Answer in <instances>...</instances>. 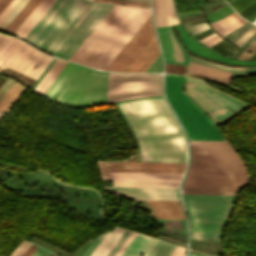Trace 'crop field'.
<instances>
[{"instance_id": "crop-field-26", "label": "crop field", "mask_w": 256, "mask_h": 256, "mask_svg": "<svg viewBox=\"0 0 256 256\" xmlns=\"http://www.w3.org/2000/svg\"><path fill=\"white\" fill-rule=\"evenodd\" d=\"M41 0H29L27 4L21 9L11 23L6 27L4 32L13 34L26 17L32 12Z\"/></svg>"}, {"instance_id": "crop-field-53", "label": "crop field", "mask_w": 256, "mask_h": 256, "mask_svg": "<svg viewBox=\"0 0 256 256\" xmlns=\"http://www.w3.org/2000/svg\"><path fill=\"white\" fill-rule=\"evenodd\" d=\"M37 246L32 245L23 256H30Z\"/></svg>"}, {"instance_id": "crop-field-20", "label": "crop field", "mask_w": 256, "mask_h": 256, "mask_svg": "<svg viewBox=\"0 0 256 256\" xmlns=\"http://www.w3.org/2000/svg\"><path fill=\"white\" fill-rule=\"evenodd\" d=\"M54 1L55 0H42L33 10V12L27 17V19L21 24V26L16 30L14 35L23 39Z\"/></svg>"}, {"instance_id": "crop-field-45", "label": "crop field", "mask_w": 256, "mask_h": 256, "mask_svg": "<svg viewBox=\"0 0 256 256\" xmlns=\"http://www.w3.org/2000/svg\"><path fill=\"white\" fill-rule=\"evenodd\" d=\"M256 8V1L254 2V3H252L250 6H248L247 8H245L243 11H241L240 13H238V14H240L242 17H244L245 15H247L249 12H251L253 9H255ZM256 10V9H255ZM255 10H253V11H255ZM252 11V12H253ZM251 12V13H252ZM251 13H249L247 16H249ZM247 16H245V18L247 17ZM244 18V19H245Z\"/></svg>"}, {"instance_id": "crop-field-15", "label": "crop field", "mask_w": 256, "mask_h": 256, "mask_svg": "<svg viewBox=\"0 0 256 256\" xmlns=\"http://www.w3.org/2000/svg\"><path fill=\"white\" fill-rule=\"evenodd\" d=\"M154 218L185 219L181 201L135 200Z\"/></svg>"}, {"instance_id": "crop-field-49", "label": "crop field", "mask_w": 256, "mask_h": 256, "mask_svg": "<svg viewBox=\"0 0 256 256\" xmlns=\"http://www.w3.org/2000/svg\"><path fill=\"white\" fill-rule=\"evenodd\" d=\"M185 248L177 246L170 256H184Z\"/></svg>"}, {"instance_id": "crop-field-40", "label": "crop field", "mask_w": 256, "mask_h": 256, "mask_svg": "<svg viewBox=\"0 0 256 256\" xmlns=\"http://www.w3.org/2000/svg\"><path fill=\"white\" fill-rule=\"evenodd\" d=\"M95 1L149 7V4H145V3L120 1V0H95Z\"/></svg>"}, {"instance_id": "crop-field-10", "label": "crop field", "mask_w": 256, "mask_h": 256, "mask_svg": "<svg viewBox=\"0 0 256 256\" xmlns=\"http://www.w3.org/2000/svg\"><path fill=\"white\" fill-rule=\"evenodd\" d=\"M51 59L23 43L7 66L38 78Z\"/></svg>"}, {"instance_id": "crop-field-38", "label": "crop field", "mask_w": 256, "mask_h": 256, "mask_svg": "<svg viewBox=\"0 0 256 256\" xmlns=\"http://www.w3.org/2000/svg\"><path fill=\"white\" fill-rule=\"evenodd\" d=\"M131 231L126 230L125 233L122 235V237L118 240V242L115 244V246L111 249V251L108 253L107 256H114V254L117 252V250L121 247V245L124 243V241L127 239V237L130 235Z\"/></svg>"}, {"instance_id": "crop-field-2", "label": "crop field", "mask_w": 256, "mask_h": 256, "mask_svg": "<svg viewBox=\"0 0 256 256\" xmlns=\"http://www.w3.org/2000/svg\"><path fill=\"white\" fill-rule=\"evenodd\" d=\"M113 6L65 0L30 43L69 60Z\"/></svg>"}, {"instance_id": "crop-field-7", "label": "crop field", "mask_w": 256, "mask_h": 256, "mask_svg": "<svg viewBox=\"0 0 256 256\" xmlns=\"http://www.w3.org/2000/svg\"><path fill=\"white\" fill-rule=\"evenodd\" d=\"M191 231L221 232L233 210L235 195H183Z\"/></svg>"}, {"instance_id": "crop-field-18", "label": "crop field", "mask_w": 256, "mask_h": 256, "mask_svg": "<svg viewBox=\"0 0 256 256\" xmlns=\"http://www.w3.org/2000/svg\"><path fill=\"white\" fill-rule=\"evenodd\" d=\"M102 180L179 182L182 175L100 173Z\"/></svg>"}, {"instance_id": "crop-field-6", "label": "crop field", "mask_w": 256, "mask_h": 256, "mask_svg": "<svg viewBox=\"0 0 256 256\" xmlns=\"http://www.w3.org/2000/svg\"><path fill=\"white\" fill-rule=\"evenodd\" d=\"M185 76L167 74L165 93L189 140H226L205 113L182 91Z\"/></svg>"}, {"instance_id": "crop-field-12", "label": "crop field", "mask_w": 256, "mask_h": 256, "mask_svg": "<svg viewBox=\"0 0 256 256\" xmlns=\"http://www.w3.org/2000/svg\"><path fill=\"white\" fill-rule=\"evenodd\" d=\"M104 191L127 199L180 200L178 188L112 187L103 186Z\"/></svg>"}, {"instance_id": "crop-field-29", "label": "crop field", "mask_w": 256, "mask_h": 256, "mask_svg": "<svg viewBox=\"0 0 256 256\" xmlns=\"http://www.w3.org/2000/svg\"><path fill=\"white\" fill-rule=\"evenodd\" d=\"M239 189L183 188V194H236Z\"/></svg>"}, {"instance_id": "crop-field-48", "label": "crop field", "mask_w": 256, "mask_h": 256, "mask_svg": "<svg viewBox=\"0 0 256 256\" xmlns=\"http://www.w3.org/2000/svg\"><path fill=\"white\" fill-rule=\"evenodd\" d=\"M104 236V233L100 234L98 238L95 240V242L92 244V246L89 248V250L86 252L84 256H89L90 253L93 251V249L96 247L98 242L101 240V238Z\"/></svg>"}, {"instance_id": "crop-field-24", "label": "crop field", "mask_w": 256, "mask_h": 256, "mask_svg": "<svg viewBox=\"0 0 256 256\" xmlns=\"http://www.w3.org/2000/svg\"><path fill=\"white\" fill-rule=\"evenodd\" d=\"M66 61L56 59L37 86L34 88L33 92H36L40 95L46 90L48 86L53 82V80L57 77L63 67L66 65Z\"/></svg>"}, {"instance_id": "crop-field-34", "label": "crop field", "mask_w": 256, "mask_h": 256, "mask_svg": "<svg viewBox=\"0 0 256 256\" xmlns=\"http://www.w3.org/2000/svg\"><path fill=\"white\" fill-rule=\"evenodd\" d=\"M221 233L191 232V239L220 240Z\"/></svg>"}, {"instance_id": "crop-field-46", "label": "crop field", "mask_w": 256, "mask_h": 256, "mask_svg": "<svg viewBox=\"0 0 256 256\" xmlns=\"http://www.w3.org/2000/svg\"><path fill=\"white\" fill-rule=\"evenodd\" d=\"M135 234H136L135 232L131 233V235L128 237V239L125 241V243L122 245V247L118 250V252L115 254V256H120V254L123 252V250L129 244V242L132 240V238L135 236Z\"/></svg>"}, {"instance_id": "crop-field-21", "label": "crop field", "mask_w": 256, "mask_h": 256, "mask_svg": "<svg viewBox=\"0 0 256 256\" xmlns=\"http://www.w3.org/2000/svg\"><path fill=\"white\" fill-rule=\"evenodd\" d=\"M189 73L197 74L200 76L208 77L222 82H228L231 72L191 63L189 64Z\"/></svg>"}, {"instance_id": "crop-field-14", "label": "crop field", "mask_w": 256, "mask_h": 256, "mask_svg": "<svg viewBox=\"0 0 256 256\" xmlns=\"http://www.w3.org/2000/svg\"><path fill=\"white\" fill-rule=\"evenodd\" d=\"M165 62L187 65L188 54L170 26L157 28Z\"/></svg>"}, {"instance_id": "crop-field-5", "label": "crop field", "mask_w": 256, "mask_h": 256, "mask_svg": "<svg viewBox=\"0 0 256 256\" xmlns=\"http://www.w3.org/2000/svg\"><path fill=\"white\" fill-rule=\"evenodd\" d=\"M108 73L68 62L43 96L81 108L105 103Z\"/></svg>"}, {"instance_id": "crop-field-30", "label": "crop field", "mask_w": 256, "mask_h": 256, "mask_svg": "<svg viewBox=\"0 0 256 256\" xmlns=\"http://www.w3.org/2000/svg\"><path fill=\"white\" fill-rule=\"evenodd\" d=\"M151 15L150 10L142 18V20L136 25V27L130 32V34L125 38V40L119 45V47L113 52V54L108 58V60L100 68L104 70L106 66L112 61V59L118 54V52L124 47V45L130 40V38L136 33V31L142 26V24L148 19Z\"/></svg>"}, {"instance_id": "crop-field-59", "label": "crop field", "mask_w": 256, "mask_h": 256, "mask_svg": "<svg viewBox=\"0 0 256 256\" xmlns=\"http://www.w3.org/2000/svg\"><path fill=\"white\" fill-rule=\"evenodd\" d=\"M255 12H256V11H255ZM255 12H254V13H255ZM254 13H252V14H254ZM252 14H251V15H252ZM255 14H256V13H255ZM255 14H254V15H255ZM251 15H250V16H251ZM254 15H253V16H254ZM250 16H249V17H250ZM255 16H256V15H255ZM255 16H254V17H255ZM251 17H252V16H251ZM251 17H250V18H251ZM254 17H252L251 19H253ZM247 18H248V17H247ZM247 18H246V19H247ZM250 18H249V19H250ZM251 19H250V20H251ZM255 19H256V18H254L253 20H255ZM247 20H248V19H247ZM250 20H248V21H250ZM253 20H252V21H253ZM252 21H251V22H252Z\"/></svg>"}, {"instance_id": "crop-field-23", "label": "crop field", "mask_w": 256, "mask_h": 256, "mask_svg": "<svg viewBox=\"0 0 256 256\" xmlns=\"http://www.w3.org/2000/svg\"><path fill=\"white\" fill-rule=\"evenodd\" d=\"M23 42L3 35L0 39V67L4 68Z\"/></svg>"}, {"instance_id": "crop-field-51", "label": "crop field", "mask_w": 256, "mask_h": 256, "mask_svg": "<svg viewBox=\"0 0 256 256\" xmlns=\"http://www.w3.org/2000/svg\"><path fill=\"white\" fill-rule=\"evenodd\" d=\"M10 2L11 0H0V14Z\"/></svg>"}, {"instance_id": "crop-field-32", "label": "crop field", "mask_w": 256, "mask_h": 256, "mask_svg": "<svg viewBox=\"0 0 256 256\" xmlns=\"http://www.w3.org/2000/svg\"><path fill=\"white\" fill-rule=\"evenodd\" d=\"M24 89L25 88L19 84L18 87L13 91V93L6 100V102L0 107V111L7 113Z\"/></svg>"}, {"instance_id": "crop-field-56", "label": "crop field", "mask_w": 256, "mask_h": 256, "mask_svg": "<svg viewBox=\"0 0 256 256\" xmlns=\"http://www.w3.org/2000/svg\"><path fill=\"white\" fill-rule=\"evenodd\" d=\"M255 46H256V40H255L254 43L247 49V51H252Z\"/></svg>"}, {"instance_id": "crop-field-3", "label": "crop field", "mask_w": 256, "mask_h": 256, "mask_svg": "<svg viewBox=\"0 0 256 256\" xmlns=\"http://www.w3.org/2000/svg\"><path fill=\"white\" fill-rule=\"evenodd\" d=\"M191 161L183 187L243 188L249 178L228 141H190Z\"/></svg>"}, {"instance_id": "crop-field-39", "label": "crop field", "mask_w": 256, "mask_h": 256, "mask_svg": "<svg viewBox=\"0 0 256 256\" xmlns=\"http://www.w3.org/2000/svg\"><path fill=\"white\" fill-rule=\"evenodd\" d=\"M31 244L26 243L22 241L11 253L10 256H21L29 247Z\"/></svg>"}, {"instance_id": "crop-field-54", "label": "crop field", "mask_w": 256, "mask_h": 256, "mask_svg": "<svg viewBox=\"0 0 256 256\" xmlns=\"http://www.w3.org/2000/svg\"><path fill=\"white\" fill-rule=\"evenodd\" d=\"M43 252L44 250L38 247L31 256H41Z\"/></svg>"}, {"instance_id": "crop-field-25", "label": "crop field", "mask_w": 256, "mask_h": 256, "mask_svg": "<svg viewBox=\"0 0 256 256\" xmlns=\"http://www.w3.org/2000/svg\"><path fill=\"white\" fill-rule=\"evenodd\" d=\"M245 23L246 21L234 12L223 19L211 23V25L218 33H220L223 36Z\"/></svg>"}, {"instance_id": "crop-field-61", "label": "crop field", "mask_w": 256, "mask_h": 256, "mask_svg": "<svg viewBox=\"0 0 256 256\" xmlns=\"http://www.w3.org/2000/svg\"><path fill=\"white\" fill-rule=\"evenodd\" d=\"M256 39V37L247 45V47L245 48V50L249 47V45Z\"/></svg>"}, {"instance_id": "crop-field-43", "label": "crop field", "mask_w": 256, "mask_h": 256, "mask_svg": "<svg viewBox=\"0 0 256 256\" xmlns=\"http://www.w3.org/2000/svg\"><path fill=\"white\" fill-rule=\"evenodd\" d=\"M13 83H14V80L8 78L7 81L2 85V87L0 88V100L5 95V93L9 90V88L12 86Z\"/></svg>"}, {"instance_id": "crop-field-65", "label": "crop field", "mask_w": 256, "mask_h": 256, "mask_svg": "<svg viewBox=\"0 0 256 256\" xmlns=\"http://www.w3.org/2000/svg\"><path fill=\"white\" fill-rule=\"evenodd\" d=\"M227 1V0H226ZM229 1H231V0H229ZM229 1H227V2H229Z\"/></svg>"}, {"instance_id": "crop-field-66", "label": "crop field", "mask_w": 256, "mask_h": 256, "mask_svg": "<svg viewBox=\"0 0 256 256\" xmlns=\"http://www.w3.org/2000/svg\"><path fill=\"white\" fill-rule=\"evenodd\" d=\"M51 256H54L53 254Z\"/></svg>"}, {"instance_id": "crop-field-13", "label": "crop field", "mask_w": 256, "mask_h": 256, "mask_svg": "<svg viewBox=\"0 0 256 256\" xmlns=\"http://www.w3.org/2000/svg\"><path fill=\"white\" fill-rule=\"evenodd\" d=\"M176 245L137 233L121 256H169Z\"/></svg>"}, {"instance_id": "crop-field-22", "label": "crop field", "mask_w": 256, "mask_h": 256, "mask_svg": "<svg viewBox=\"0 0 256 256\" xmlns=\"http://www.w3.org/2000/svg\"><path fill=\"white\" fill-rule=\"evenodd\" d=\"M124 231L125 229L115 227L111 232H107L90 256H106Z\"/></svg>"}, {"instance_id": "crop-field-47", "label": "crop field", "mask_w": 256, "mask_h": 256, "mask_svg": "<svg viewBox=\"0 0 256 256\" xmlns=\"http://www.w3.org/2000/svg\"><path fill=\"white\" fill-rule=\"evenodd\" d=\"M19 0H13L10 5L4 10V12L0 15V22L4 19V17L9 13V11L14 7V5L18 2Z\"/></svg>"}, {"instance_id": "crop-field-57", "label": "crop field", "mask_w": 256, "mask_h": 256, "mask_svg": "<svg viewBox=\"0 0 256 256\" xmlns=\"http://www.w3.org/2000/svg\"><path fill=\"white\" fill-rule=\"evenodd\" d=\"M5 80H6V78L0 76V87H1V85L4 83Z\"/></svg>"}, {"instance_id": "crop-field-8", "label": "crop field", "mask_w": 256, "mask_h": 256, "mask_svg": "<svg viewBox=\"0 0 256 256\" xmlns=\"http://www.w3.org/2000/svg\"><path fill=\"white\" fill-rule=\"evenodd\" d=\"M160 74L109 73L106 103L162 95Z\"/></svg>"}, {"instance_id": "crop-field-27", "label": "crop field", "mask_w": 256, "mask_h": 256, "mask_svg": "<svg viewBox=\"0 0 256 256\" xmlns=\"http://www.w3.org/2000/svg\"><path fill=\"white\" fill-rule=\"evenodd\" d=\"M64 0H56L53 5L48 9V11L42 16V18L37 22V24L31 29V31L24 38L27 41H31L32 38L37 34V32L42 28V26L47 22V20L53 15V13L58 9V7L63 3Z\"/></svg>"}, {"instance_id": "crop-field-62", "label": "crop field", "mask_w": 256, "mask_h": 256, "mask_svg": "<svg viewBox=\"0 0 256 256\" xmlns=\"http://www.w3.org/2000/svg\"><path fill=\"white\" fill-rule=\"evenodd\" d=\"M256 56V52L253 54V56L251 57V59H254ZM256 59V58H255Z\"/></svg>"}, {"instance_id": "crop-field-63", "label": "crop field", "mask_w": 256, "mask_h": 256, "mask_svg": "<svg viewBox=\"0 0 256 256\" xmlns=\"http://www.w3.org/2000/svg\"><path fill=\"white\" fill-rule=\"evenodd\" d=\"M2 37V34H0V38Z\"/></svg>"}, {"instance_id": "crop-field-9", "label": "crop field", "mask_w": 256, "mask_h": 256, "mask_svg": "<svg viewBox=\"0 0 256 256\" xmlns=\"http://www.w3.org/2000/svg\"><path fill=\"white\" fill-rule=\"evenodd\" d=\"M100 172L182 174L186 164L96 161Z\"/></svg>"}, {"instance_id": "crop-field-41", "label": "crop field", "mask_w": 256, "mask_h": 256, "mask_svg": "<svg viewBox=\"0 0 256 256\" xmlns=\"http://www.w3.org/2000/svg\"><path fill=\"white\" fill-rule=\"evenodd\" d=\"M219 40H221V38L216 34H212L200 41H202L203 43H205L206 45H208L209 47L214 45L215 43H217Z\"/></svg>"}, {"instance_id": "crop-field-31", "label": "crop field", "mask_w": 256, "mask_h": 256, "mask_svg": "<svg viewBox=\"0 0 256 256\" xmlns=\"http://www.w3.org/2000/svg\"><path fill=\"white\" fill-rule=\"evenodd\" d=\"M113 185L121 186H159V187H178L179 183H160V182H121L113 181Z\"/></svg>"}, {"instance_id": "crop-field-35", "label": "crop field", "mask_w": 256, "mask_h": 256, "mask_svg": "<svg viewBox=\"0 0 256 256\" xmlns=\"http://www.w3.org/2000/svg\"><path fill=\"white\" fill-rule=\"evenodd\" d=\"M220 42H221V41H220ZM220 42H218L217 44H219ZM217 44H215L213 47H215ZM213 47H212V48H213ZM230 47H232V46L228 45L225 41H223V42H221L219 45H217L214 49H216V50H218L219 52L222 53V52H224L225 50L229 49ZM214 49H213V50H214ZM216 50H215V51H216ZM218 51H217V52H218ZM236 51H237V48L232 47V48H230L229 50L225 51V52L222 53V54L232 57Z\"/></svg>"}, {"instance_id": "crop-field-64", "label": "crop field", "mask_w": 256, "mask_h": 256, "mask_svg": "<svg viewBox=\"0 0 256 256\" xmlns=\"http://www.w3.org/2000/svg\"><path fill=\"white\" fill-rule=\"evenodd\" d=\"M2 113H0V117H1Z\"/></svg>"}, {"instance_id": "crop-field-50", "label": "crop field", "mask_w": 256, "mask_h": 256, "mask_svg": "<svg viewBox=\"0 0 256 256\" xmlns=\"http://www.w3.org/2000/svg\"><path fill=\"white\" fill-rule=\"evenodd\" d=\"M19 83H14L13 86L10 88V90L6 93V95L3 97V99L0 101V106L4 103V101L7 99V97L10 95V93L15 89V87Z\"/></svg>"}, {"instance_id": "crop-field-42", "label": "crop field", "mask_w": 256, "mask_h": 256, "mask_svg": "<svg viewBox=\"0 0 256 256\" xmlns=\"http://www.w3.org/2000/svg\"><path fill=\"white\" fill-rule=\"evenodd\" d=\"M239 1H241V0H236L235 2H233L232 4H230L231 6L232 5H234V4H236V3H238ZM248 0H243V1H241L240 3H238V4H236L235 6H233V9L234 8H236L237 6H239V5H241V4H243V3H245V2H247ZM255 0H250V1H248L247 3H245V4H243V5H241V6H239V7H237L236 9H234L237 13L238 12H240L241 10H243L245 7H247L248 5H250L252 2H254Z\"/></svg>"}, {"instance_id": "crop-field-44", "label": "crop field", "mask_w": 256, "mask_h": 256, "mask_svg": "<svg viewBox=\"0 0 256 256\" xmlns=\"http://www.w3.org/2000/svg\"><path fill=\"white\" fill-rule=\"evenodd\" d=\"M256 31V26L251 28L246 34H244L238 41H236L234 44L236 46H240L246 39H248L254 32Z\"/></svg>"}, {"instance_id": "crop-field-37", "label": "crop field", "mask_w": 256, "mask_h": 256, "mask_svg": "<svg viewBox=\"0 0 256 256\" xmlns=\"http://www.w3.org/2000/svg\"><path fill=\"white\" fill-rule=\"evenodd\" d=\"M184 27L192 35L209 29V26L206 24V22L195 24V25H188V26H184Z\"/></svg>"}, {"instance_id": "crop-field-1", "label": "crop field", "mask_w": 256, "mask_h": 256, "mask_svg": "<svg viewBox=\"0 0 256 256\" xmlns=\"http://www.w3.org/2000/svg\"><path fill=\"white\" fill-rule=\"evenodd\" d=\"M134 137L140 161L186 163L187 150L182 131L163 97L116 103Z\"/></svg>"}, {"instance_id": "crop-field-28", "label": "crop field", "mask_w": 256, "mask_h": 256, "mask_svg": "<svg viewBox=\"0 0 256 256\" xmlns=\"http://www.w3.org/2000/svg\"><path fill=\"white\" fill-rule=\"evenodd\" d=\"M190 61L195 62V63H199V64H203V65H207V66H211V67H215V68H219V69H223V70H227V71H231V72L234 73L233 77L244 76V75H256V70L233 71V70H238V69L256 68V66L255 67H243V68H229V67H225V66L205 62V61L193 58V57H191Z\"/></svg>"}, {"instance_id": "crop-field-33", "label": "crop field", "mask_w": 256, "mask_h": 256, "mask_svg": "<svg viewBox=\"0 0 256 256\" xmlns=\"http://www.w3.org/2000/svg\"><path fill=\"white\" fill-rule=\"evenodd\" d=\"M28 0H21L15 8L10 12V14L4 19L0 24V31H3L5 27L10 23V21L15 17V15L20 11V9L25 5Z\"/></svg>"}, {"instance_id": "crop-field-19", "label": "crop field", "mask_w": 256, "mask_h": 256, "mask_svg": "<svg viewBox=\"0 0 256 256\" xmlns=\"http://www.w3.org/2000/svg\"><path fill=\"white\" fill-rule=\"evenodd\" d=\"M152 6L157 27L179 23L172 0H152Z\"/></svg>"}, {"instance_id": "crop-field-58", "label": "crop field", "mask_w": 256, "mask_h": 256, "mask_svg": "<svg viewBox=\"0 0 256 256\" xmlns=\"http://www.w3.org/2000/svg\"><path fill=\"white\" fill-rule=\"evenodd\" d=\"M129 1H137V2H145V3H149V0H129Z\"/></svg>"}, {"instance_id": "crop-field-17", "label": "crop field", "mask_w": 256, "mask_h": 256, "mask_svg": "<svg viewBox=\"0 0 256 256\" xmlns=\"http://www.w3.org/2000/svg\"><path fill=\"white\" fill-rule=\"evenodd\" d=\"M177 31L180 34L181 40L183 44L193 53L208 57L211 59H215L221 62L230 63V64H239V65H256V61L253 62H246V61H236L232 60L223 56H220L213 51L209 50L208 48L202 46L200 43H198L195 39H193L189 34L183 30V28L180 25H175Z\"/></svg>"}, {"instance_id": "crop-field-11", "label": "crop field", "mask_w": 256, "mask_h": 256, "mask_svg": "<svg viewBox=\"0 0 256 256\" xmlns=\"http://www.w3.org/2000/svg\"><path fill=\"white\" fill-rule=\"evenodd\" d=\"M153 33L154 29L150 16L105 70L123 71Z\"/></svg>"}, {"instance_id": "crop-field-52", "label": "crop field", "mask_w": 256, "mask_h": 256, "mask_svg": "<svg viewBox=\"0 0 256 256\" xmlns=\"http://www.w3.org/2000/svg\"><path fill=\"white\" fill-rule=\"evenodd\" d=\"M255 50H256V48L252 51L250 56H249V53L243 51V53L240 55L239 59H247L248 56H249L248 59H250V57L252 56V54L254 53Z\"/></svg>"}, {"instance_id": "crop-field-60", "label": "crop field", "mask_w": 256, "mask_h": 256, "mask_svg": "<svg viewBox=\"0 0 256 256\" xmlns=\"http://www.w3.org/2000/svg\"><path fill=\"white\" fill-rule=\"evenodd\" d=\"M189 256H202V255H198V254H194V253H190Z\"/></svg>"}, {"instance_id": "crop-field-4", "label": "crop field", "mask_w": 256, "mask_h": 256, "mask_svg": "<svg viewBox=\"0 0 256 256\" xmlns=\"http://www.w3.org/2000/svg\"><path fill=\"white\" fill-rule=\"evenodd\" d=\"M148 10L115 5L70 60L99 69Z\"/></svg>"}, {"instance_id": "crop-field-16", "label": "crop field", "mask_w": 256, "mask_h": 256, "mask_svg": "<svg viewBox=\"0 0 256 256\" xmlns=\"http://www.w3.org/2000/svg\"><path fill=\"white\" fill-rule=\"evenodd\" d=\"M159 54L160 51L154 34L124 71L145 72Z\"/></svg>"}, {"instance_id": "crop-field-36", "label": "crop field", "mask_w": 256, "mask_h": 256, "mask_svg": "<svg viewBox=\"0 0 256 256\" xmlns=\"http://www.w3.org/2000/svg\"><path fill=\"white\" fill-rule=\"evenodd\" d=\"M187 66L165 63V72L185 75Z\"/></svg>"}, {"instance_id": "crop-field-55", "label": "crop field", "mask_w": 256, "mask_h": 256, "mask_svg": "<svg viewBox=\"0 0 256 256\" xmlns=\"http://www.w3.org/2000/svg\"><path fill=\"white\" fill-rule=\"evenodd\" d=\"M212 33H214L213 31H209V32H207V33H205V34H203V35H201V36H198V37H196L198 40H200V39H202V38H204V37H206V36H208V35H210V34H212Z\"/></svg>"}]
</instances>
